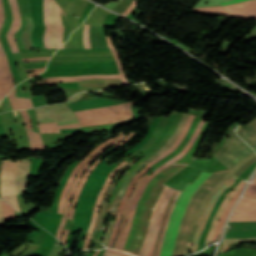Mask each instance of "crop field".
I'll return each instance as SVG.
<instances>
[{"mask_svg": "<svg viewBox=\"0 0 256 256\" xmlns=\"http://www.w3.org/2000/svg\"><path fill=\"white\" fill-rule=\"evenodd\" d=\"M186 165H171L147 185L136 210L133 227L125 243L127 253L153 256L157 233L175 189L163 184Z\"/></svg>", "mask_w": 256, "mask_h": 256, "instance_id": "1", "label": "crop field"}, {"mask_svg": "<svg viewBox=\"0 0 256 256\" xmlns=\"http://www.w3.org/2000/svg\"><path fill=\"white\" fill-rule=\"evenodd\" d=\"M211 174L212 173H206V172L202 171L201 174L196 178V180L192 184L188 183V185L182 191L181 195L179 196V198L175 204L174 210L172 212V215H171L168 227H167V231H166V235L164 238L160 256H171L185 207L188 204V202H189L192 194L195 192V190Z\"/></svg>", "mask_w": 256, "mask_h": 256, "instance_id": "2", "label": "crop field"}, {"mask_svg": "<svg viewBox=\"0 0 256 256\" xmlns=\"http://www.w3.org/2000/svg\"><path fill=\"white\" fill-rule=\"evenodd\" d=\"M134 102L118 104L103 108L75 112L81 126L118 122L116 119L133 116L130 105ZM132 118V117H131ZM130 119V118H127ZM124 119V120H127ZM122 120V121H124Z\"/></svg>", "mask_w": 256, "mask_h": 256, "instance_id": "3", "label": "crop field"}, {"mask_svg": "<svg viewBox=\"0 0 256 256\" xmlns=\"http://www.w3.org/2000/svg\"><path fill=\"white\" fill-rule=\"evenodd\" d=\"M252 151L253 150L232 131L226 144L214 156L231 170L237 161L249 156Z\"/></svg>", "mask_w": 256, "mask_h": 256, "instance_id": "4", "label": "crop field"}, {"mask_svg": "<svg viewBox=\"0 0 256 256\" xmlns=\"http://www.w3.org/2000/svg\"><path fill=\"white\" fill-rule=\"evenodd\" d=\"M19 161L20 160H16L15 163L10 160L2 161L3 167L0 177L1 197L13 205L18 211H20V209L16 199L15 177Z\"/></svg>", "mask_w": 256, "mask_h": 256, "instance_id": "5", "label": "crop field"}, {"mask_svg": "<svg viewBox=\"0 0 256 256\" xmlns=\"http://www.w3.org/2000/svg\"><path fill=\"white\" fill-rule=\"evenodd\" d=\"M204 122L203 120L201 122H199L198 126H197V129L193 135V137L191 138V140L188 142V144L184 147V149L177 155L175 156L174 158H172L171 160L167 161L166 163H170V164H173L174 162H176L178 159H180L183 155L186 154V152L189 150V148L191 147V145L193 144V142L195 141V139L197 138L202 126H203ZM166 163H164L163 165H161L160 167H158V169L156 171L153 172V174H151L148 178H146L144 180V182L142 183L132 205H131V209H130V213H129V217H128V220H127V226H126V230H125V233L121 239V243H120V246H119V250L122 251V248H123V245L125 243V240L128 236V231L130 229V226H131V223H132V220H133V217H134V214H135V210H136V206H137V200L140 199L141 197V194L145 188V186L147 185V183L155 177V175L160 172L161 170H163L164 168L168 167L169 165H166ZM130 232V231H129Z\"/></svg>", "mask_w": 256, "mask_h": 256, "instance_id": "6", "label": "crop field"}, {"mask_svg": "<svg viewBox=\"0 0 256 256\" xmlns=\"http://www.w3.org/2000/svg\"><path fill=\"white\" fill-rule=\"evenodd\" d=\"M39 123L57 122L58 125L78 123L74 113L63 104H54L35 109Z\"/></svg>", "mask_w": 256, "mask_h": 256, "instance_id": "7", "label": "crop field"}, {"mask_svg": "<svg viewBox=\"0 0 256 256\" xmlns=\"http://www.w3.org/2000/svg\"><path fill=\"white\" fill-rule=\"evenodd\" d=\"M193 119H194V116L190 115V117H189V119H188V121H187V123H186V125H185V127H184V129H183V131H182V133H181V135L179 136V138L176 140V142L174 143V145H173L169 150H167L163 155H161L160 157H158L156 160H154V161H152L151 163H149L144 169H142V170H141L138 174H136V176L133 178V180L131 181V183H130V185H129V187H128L126 193H125V195L123 196V198H122V200H121V202H120V206H119V209H118V212H117V216H116V222H115L114 228H113V230H112L111 236H110V238H109V244H108L107 247H110V248H111V246H112V243H113V241H114L115 235H116V233H117V231H118V228H119V224H120V222H121V214H122V210H123V207H124V203L126 202L128 196H129V194H130V192H131V189H132V187L134 186V184H135L137 178H138L140 175L144 174V173L147 171V169H148L153 163H155V162L161 160L162 158H164L166 155H168L169 153H171V152L181 143V141H182V139L185 137V135H186V133H187V131H188V128H189L191 122L193 121Z\"/></svg>", "mask_w": 256, "mask_h": 256, "instance_id": "8", "label": "crop field"}, {"mask_svg": "<svg viewBox=\"0 0 256 256\" xmlns=\"http://www.w3.org/2000/svg\"><path fill=\"white\" fill-rule=\"evenodd\" d=\"M183 113H178V115L176 116L167 136L163 139V141L161 142V144L156 147L151 153H149L148 155H146L145 157L141 158L140 160L136 161L135 163L132 164V166L130 167V169L124 174L125 177L120 179L119 182H118V185L117 187L114 189L109 201H108V204L106 206V210H105V216L110 214V211H111V208H112V204H113V200L116 196V194L118 193L119 189L121 188L125 178L134 170V168L140 164L141 162H143L144 160L150 158L153 154L157 153L160 149H162L168 142V140L171 138L172 134H174L175 130H176V127L182 117ZM105 216H104V219H105ZM103 223H104V220H103ZM103 223H102V228L100 230V234H99V237H98V241L101 242L102 240V237H103V233H104V226H103Z\"/></svg>", "mask_w": 256, "mask_h": 256, "instance_id": "9", "label": "crop field"}, {"mask_svg": "<svg viewBox=\"0 0 256 256\" xmlns=\"http://www.w3.org/2000/svg\"><path fill=\"white\" fill-rule=\"evenodd\" d=\"M106 39H107L108 46H109L110 50L113 52L114 57L116 59V63H117L120 75H89V76H76V77H52V78H44L39 81H31V83L37 82L36 84H31V86L47 84V83H51V82L80 81V80L88 79V78H111V79L122 78L124 84L129 85L130 82L128 81V79L125 76L123 65L120 60V56H119L111 38L106 37Z\"/></svg>", "mask_w": 256, "mask_h": 256, "instance_id": "10", "label": "crop field"}, {"mask_svg": "<svg viewBox=\"0 0 256 256\" xmlns=\"http://www.w3.org/2000/svg\"><path fill=\"white\" fill-rule=\"evenodd\" d=\"M190 114L188 113H184L182 119H181V122L175 132V134L172 136V138L170 139L169 143L167 144V146L165 148H163L162 150H160L156 155H154L153 157H151L150 159H148L147 161H145L144 163L140 164L125 180L122 188H121V191L120 193L117 195L115 201H114V204H113V208H112V212H111V217L115 216L116 215V211L118 209V204L125 192V189L129 183V181L131 180V178L137 173L139 172L147 163L151 162L152 160H154L155 158H157L159 155L163 154L167 149H169L173 143L175 142V140L177 139V137L179 136L188 116Z\"/></svg>", "mask_w": 256, "mask_h": 256, "instance_id": "11", "label": "crop field"}, {"mask_svg": "<svg viewBox=\"0 0 256 256\" xmlns=\"http://www.w3.org/2000/svg\"><path fill=\"white\" fill-rule=\"evenodd\" d=\"M4 21V8L0 0V29ZM14 87L12 75L8 68L6 55L0 44V100Z\"/></svg>", "mask_w": 256, "mask_h": 256, "instance_id": "12", "label": "crop field"}, {"mask_svg": "<svg viewBox=\"0 0 256 256\" xmlns=\"http://www.w3.org/2000/svg\"><path fill=\"white\" fill-rule=\"evenodd\" d=\"M230 221H256V199L242 197Z\"/></svg>", "mask_w": 256, "mask_h": 256, "instance_id": "13", "label": "crop field"}, {"mask_svg": "<svg viewBox=\"0 0 256 256\" xmlns=\"http://www.w3.org/2000/svg\"><path fill=\"white\" fill-rule=\"evenodd\" d=\"M227 11L237 17L256 20V0L224 6Z\"/></svg>", "mask_w": 256, "mask_h": 256, "instance_id": "14", "label": "crop field"}, {"mask_svg": "<svg viewBox=\"0 0 256 256\" xmlns=\"http://www.w3.org/2000/svg\"><path fill=\"white\" fill-rule=\"evenodd\" d=\"M124 132H125V130L122 131V132L120 133V135H121L122 133H124ZM120 135H119L118 137H120ZM118 137H115V138H113V139H110V140L106 141L105 143H103L102 145H100V146H99L98 148H96L92 153H90L79 165L76 166V168H75L73 174L71 173L72 175H71L70 179L68 180V182H67V184H66V186H65V188H64V190H63V192H62V194H61L60 202H59V207H58V211H57V212L62 213L63 206H64V202H65V197H66V195H67V192H68L69 188H70L71 185H72L73 179H74V177H75L77 171H78L94 154H96L99 150H101L103 147H105L107 144H109L110 142L114 141V140L117 139Z\"/></svg>", "mask_w": 256, "mask_h": 256, "instance_id": "15", "label": "crop field"}, {"mask_svg": "<svg viewBox=\"0 0 256 256\" xmlns=\"http://www.w3.org/2000/svg\"><path fill=\"white\" fill-rule=\"evenodd\" d=\"M236 178H238V177H236V176L233 175V176L228 180V182H227L221 189H219V190L212 196V198L210 199V201H209V203H208V206H207V208H206V210H205V212H204V214H203V216H202V218H201V220H200L199 227H198L197 233H196L195 238H194V241H193V247H192V249H191V252H194L195 249H196V245H197V243H198L199 236H200L201 231H202V229H203L204 222H205V220H206V218H207V216H208V214H209L211 208L213 207L215 201L218 199V197H219V195L221 194V192H222L228 185H230ZM191 252H190V253H191Z\"/></svg>", "mask_w": 256, "mask_h": 256, "instance_id": "16", "label": "crop field"}, {"mask_svg": "<svg viewBox=\"0 0 256 256\" xmlns=\"http://www.w3.org/2000/svg\"><path fill=\"white\" fill-rule=\"evenodd\" d=\"M125 137H126V136L123 135V136H121L119 139L115 140L114 142H112L111 144H109L108 146H106L105 148H103V149H102L100 152H98L94 157H92V158L84 165V167L80 170V172H79L78 176L76 177V179H75V181H74V183H73V186H72V188H71V190H70V192H69V195H68V197H67L66 205H65V209H64L63 215H65V216L68 215V211H69V207H70L71 198H72V196H73V193H74V191H75V189H76V187H77V185H78V183H79V181H80V179H81V177H82V175H83L85 169H86L91 163H93L101 153H103V152H104L106 149H108L109 147H111V146L117 144L119 141H121V140H122L123 138H125Z\"/></svg>", "mask_w": 256, "mask_h": 256, "instance_id": "17", "label": "crop field"}, {"mask_svg": "<svg viewBox=\"0 0 256 256\" xmlns=\"http://www.w3.org/2000/svg\"><path fill=\"white\" fill-rule=\"evenodd\" d=\"M10 4L12 7V12H13V24L9 30V32L7 33V38H8V42L12 48L13 52L19 51L17 48V45L15 43L13 34L19 29L20 24H21V20H20V14H19V10H18V6H17V2L16 0H10Z\"/></svg>", "mask_w": 256, "mask_h": 256, "instance_id": "18", "label": "crop field"}, {"mask_svg": "<svg viewBox=\"0 0 256 256\" xmlns=\"http://www.w3.org/2000/svg\"><path fill=\"white\" fill-rule=\"evenodd\" d=\"M134 134H135L134 132H131V133L129 134V136H128L126 139H124V140H123L122 142H120L118 145H116V146L110 148L105 154H107V153H108L109 151H111L113 148H116V147L122 145L123 143H125L126 141H128L130 138H132V137L134 136ZM105 154H104V155H105ZM104 155H102V156H104ZM102 156H101V157H102ZM101 157H100V158L84 173V175H83V178H82V180H81V182H80V184H79V186H78V188H77V190H76V193H75L74 198H73L72 203H71V207H70V211H69V215H68V218H70L71 220L73 219V215H74V211H75V210L73 209V207H74V205H76V203H77V199H78L80 190H81V188L84 186V183H85V180H86L88 174L90 173V171H91L93 168H95V167L97 166V164L99 163Z\"/></svg>", "mask_w": 256, "mask_h": 256, "instance_id": "19", "label": "crop field"}, {"mask_svg": "<svg viewBox=\"0 0 256 256\" xmlns=\"http://www.w3.org/2000/svg\"><path fill=\"white\" fill-rule=\"evenodd\" d=\"M237 134L240 135L251 147L256 146V118L247 125H239Z\"/></svg>", "mask_w": 256, "mask_h": 256, "instance_id": "20", "label": "crop field"}, {"mask_svg": "<svg viewBox=\"0 0 256 256\" xmlns=\"http://www.w3.org/2000/svg\"><path fill=\"white\" fill-rule=\"evenodd\" d=\"M245 181H241L229 194L228 196L225 198V200L222 202V204L220 205L215 217H214V220L211 224V227H210V230H209V234H208V237H207V240L205 242V244H207L208 242L212 241V238H213V234H214V231H215V228H216V225H217V222L225 208V206L227 205V203L229 202V200L231 199V197L244 185ZM204 244V245H205Z\"/></svg>", "mask_w": 256, "mask_h": 256, "instance_id": "21", "label": "crop field"}, {"mask_svg": "<svg viewBox=\"0 0 256 256\" xmlns=\"http://www.w3.org/2000/svg\"><path fill=\"white\" fill-rule=\"evenodd\" d=\"M180 193H181V191L177 190V192L174 194V196H173V198L170 202L169 208H168V210L165 214L164 221H163L161 230L159 232V238L157 240V245H156V249H155V256H159V254H160L161 244H162V240H163L164 235H165V231H166V227H167V224H168V221H169V218H170V214H171V211L174 207L175 201L178 198Z\"/></svg>", "mask_w": 256, "mask_h": 256, "instance_id": "22", "label": "crop field"}, {"mask_svg": "<svg viewBox=\"0 0 256 256\" xmlns=\"http://www.w3.org/2000/svg\"><path fill=\"white\" fill-rule=\"evenodd\" d=\"M125 164H126V162L123 161L119 166H117V167L110 173L109 177L107 176L108 179H107V181H106V183H105V185H104V187H103V189H102V191H101V193H100V195H99V197H98V199H97V202H96V205H95L94 214H93V218H92V221H91V224H90L88 233H90V234L92 233V229H93L94 224H95V222H96V220H97V216H98V212H99V208H100V204H101L102 198H103L104 193H105V191L107 190V188H108V186H109V184H110V182H111L113 176H114V175L116 174V172H117L122 166H124Z\"/></svg>", "mask_w": 256, "mask_h": 256, "instance_id": "23", "label": "crop field"}, {"mask_svg": "<svg viewBox=\"0 0 256 256\" xmlns=\"http://www.w3.org/2000/svg\"><path fill=\"white\" fill-rule=\"evenodd\" d=\"M29 164H30L29 158H27V160H21L20 162V167H19L17 181H16L18 194L25 191L26 177L29 173Z\"/></svg>", "mask_w": 256, "mask_h": 256, "instance_id": "24", "label": "crop field"}, {"mask_svg": "<svg viewBox=\"0 0 256 256\" xmlns=\"http://www.w3.org/2000/svg\"><path fill=\"white\" fill-rule=\"evenodd\" d=\"M210 124H211V123H208V122L205 123V125H204V127H203V129H202L200 135L198 136L196 142L192 145V147H191L190 150L187 152V154H186L183 158H181L180 160H178L176 163H185V164H189L191 161L194 160V158H192L191 156L194 154V152H195L196 148L198 147V145H199V143H200V141H201V139H202V137H203L205 131L207 130V128L209 127Z\"/></svg>", "mask_w": 256, "mask_h": 256, "instance_id": "25", "label": "crop field"}, {"mask_svg": "<svg viewBox=\"0 0 256 256\" xmlns=\"http://www.w3.org/2000/svg\"><path fill=\"white\" fill-rule=\"evenodd\" d=\"M44 16H45V33H44V46L49 47V38H50V31L51 26L49 24V0H44Z\"/></svg>", "mask_w": 256, "mask_h": 256, "instance_id": "26", "label": "crop field"}, {"mask_svg": "<svg viewBox=\"0 0 256 256\" xmlns=\"http://www.w3.org/2000/svg\"><path fill=\"white\" fill-rule=\"evenodd\" d=\"M39 127H40L41 133H60L58 129L80 127V125L75 124V125H67V126H57L56 123H48V124H39Z\"/></svg>", "mask_w": 256, "mask_h": 256, "instance_id": "27", "label": "crop field"}, {"mask_svg": "<svg viewBox=\"0 0 256 256\" xmlns=\"http://www.w3.org/2000/svg\"><path fill=\"white\" fill-rule=\"evenodd\" d=\"M243 187H244V186H243ZM243 187H242V188H243ZM242 188L240 189V191H239L235 196L232 197V199H231L229 205L226 207V209H225V211H224L222 217L220 218V220H219V222H218V225H217V228H216V231H215V235H214V239H213V240H215V239L217 238V236H218V234H219V232H220V230H221V228H222V226H223V224H224V222H225V220H226V218H227V215H228L229 211L231 210V208H232V206H233L235 200L237 199L239 193L241 192Z\"/></svg>", "mask_w": 256, "mask_h": 256, "instance_id": "28", "label": "crop field"}, {"mask_svg": "<svg viewBox=\"0 0 256 256\" xmlns=\"http://www.w3.org/2000/svg\"><path fill=\"white\" fill-rule=\"evenodd\" d=\"M55 10H56V3L50 0V24L52 26V34H51V48H56L55 42V34H56V26H55Z\"/></svg>", "mask_w": 256, "mask_h": 256, "instance_id": "29", "label": "crop field"}, {"mask_svg": "<svg viewBox=\"0 0 256 256\" xmlns=\"http://www.w3.org/2000/svg\"><path fill=\"white\" fill-rule=\"evenodd\" d=\"M194 12L200 14H207V15H226L228 17H232L224 8L222 7H213V8H200V9H193Z\"/></svg>", "mask_w": 256, "mask_h": 256, "instance_id": "30", "label": "crop field"}, {"mask_svg": "<svg viewBox=\"0 0 256 256\" xmlns=\"http://www.w3.org/2000/svg\"><path fill=\"white\" fill-rule=\"evenodd\" d=\"M56 25H57V48H58L62 44V36H63V30H64V26L60 18V7L58 5L56 10Z\"/></svg>", "mask_w": 256, "mask_h": 256, "instance_id": "31", "label": "crop field"}, {"mask_svg": "<svg viewBox=\"0 0 256 256\" xmlns=\"http://www.w3.org/2000/svg\"><path fill=\"white\" fill-rule=\"evenodd\" d=\"M2 208H3L5 220L15 216L14 209L3 200H2Z\"/></svg>", "mask_w": 256, "mask_h": 256, "instance_id": "32", "label": "crop field"}, {"mask_svg": "<svg viewBox=\"0 0 256 256\" xmlns=\"http://www.w3.org/2000/svg\"><path fill=\"white\" fill-rule=\"evenodd\" d=\"M104 256H132L127 253H123L117 250H112V249H106V251L103 253Z\"/></svg>", "mask_w": 256, "mask_h": 256, "instance_id": "33", "label": "crop field"}, {"mask_svg": "<svg viewBox=\"0 0 256 256\" xmlns=\"http://www.w3.org/2000/svg\"><path fill=\"white\" fill-rule=\"evenodd\" d=\"M243 195L253 197L256 196V178L254 179V184H250V186Z\"/></svg>", "mask_w": 256, "mask_h": 256, "instance_id": "34", "label": "crop field"}, {"mask_svg": "<svg viewBox=\"0 0 256 256\" xmlns=\"http://www.w3.org/2000/svg\"><path fill=\"white\" fill-rule=\"evenodd\" d=\"M27 130V129H26ZM28 136H29V140H30V144H31V149L35 150L38 149L37 148V144H36V140H35V136L34 133L32 131L27 130Z\"/></svg>", "mask_w": 256, "mask_h": 256, "instance_id": "35", "label": "crop field"}, {"mask_svg": "<svg viewBox=\"0 0 256 256\" xmlns=\"http://www.w3.org/2000/svg\"><path fill=\"white\" fill-rule=\"evenodd\" d=\"M9 97V100H10V103H11V106L13 109H18L17 107V102H16V95H15V88L12 90V92L8 95Z\"/></svg>", "mask_w": 256, "mask_h": 256, "instance_id": "36", "label": "crop field"}, {"mask_svg": "<svg viewBox=\"0 0 256 256\" xmlns=\"http://www.w3.org/2000/svg\"><path fill=\"white\" fill-rule=\"evenodd\" d=\"M20 112H21V114H22V116H23V118H24V122L26 123L25 128L32 130L31 121H30V118H29V116H28L27 111H26V110H23V111H20Z\"/></svg>", "mask_w": 256, "mask_h": 256, "instance_id": "37", "label": "crop field"}, {"mask_svg": "<svg viewBox=\"0 0 256 256\" xmlns=\"http://www.w3.org/2000/svg\"><path fill=\"white\" fill-rule=\"evenodd\" d=\"M256 161V157H254L253 159L249 160L248 162H246L236 173L235 175L239 176L244 170H246L248 168V166Z\"/></svg>", "mask_w": 256, "mask_h": 256, "instance_id": "38", "label": "crop field"}, {"mask_svg": "<svg viewBox=\"0 0 256 256\" xmlns=\"http://www.w3.org/2000/svg\"><path fill=\"white\" fill-rule=\"evenodd\" d=\"M92 182H89L87 181L84 188L82 189L81 193H80V197H79V201L78 203H82L83 202V198H84V195L86 193V191L88 190V188L90 187Z\"/></svg>", "mask_w": 256, "mask_h": 256, "instance_id": "39", "label": "crop field"}, {"mask_svg": "<svg viewBox=\"0 0 256 256\" xmlns=\"http://www.w3.org/2000/svg\"><path fill=\"white\" fill-rule=\"evenodd\" d=\"M113 223H114V221H111V222L109 223V225H108V228H107V231H106L104 240H103V245H105V246H107V241H108V238H109V236H110V232H111Z\"/></svg>", "mask_w": 256, "mask_h": 256, "instance_id": "40", "label": "crop field"}, {"mask_svg": "<svg viewBox=\"0 0 256 256\" xmlns=\"http://www.w3.org/2000/svg\"><path fill=\"white\" fill-rule=\"evenodd\" d=\"M67 218L65 217H62L61 219V222H60V225H59V228H58V232H57V236L56 238L60 240L61 238V234H62V231H63V226H64V223L66 221Z\"/></svg>", "mask_w": 256, "mask_h": 256, "instance_id": "41", "label": "crop field"}, {"mask_svg": "<svg viewBox=\"0 0 256 256\" xmlns=\"http://www.w3.org/2000/svg\"><path fill=\"white\" fill-rule=\"evenodd\" d=\"M84 93H86V92L78 93V94L75 95L73 98H71L70 101L65 102V104H67V105L71 104L72 102H74V101H76L78 98H80Z\"/></svg>", "mask_w": 256, "mask_h": 256, "instance_id": "42", "label": "crop field"}, {"mask_svg": "<svg viewBox=\"0 0 256 256\" xmlns=\"http://www.w3.org/2000/svg\"><path fill=\"white\" fill-rule=\"evenodd\" d=\"M137 3V0H134L133 3L127 8V10L123 13V15L127 16V14L134 9L135 5ZM129 15V14H128Z\"/></svg>", "mask_w": 256, "mask_h": 256, "instance_id": "43", "label": "crop field"}, {"mask_svg": "<svg viewBox=\"0 0 256 256\" xmlns=\"http://www.w3.org/2000/svg\"><path fill=\"white\" fill-rule=\"evenodd\" d=\"M36 133V132H35ZM36 136H37V140H38V144H39V146H40V148H41V151L42 150H44V146H43V142H42V140H41V136H40V134H38V133H36ZM38 146V147H39ZM40 148H39V151H40Z\"/></svg>", "mask_w": 256, "mask_h": 256, "instance_id": "44", "label": "crop field"}, {"mask_svg": "<svg viewBox=\"0 0 256 256\" xmlns=\"http://www.w3.org/2000/svg\"><path fill=\"white\" fill-rule=\"evenodd\" d=\"M17 102H18L19 109L26 108L23 98H17Z\"/></svg>", "mask_w": 256, "mask_h": 256, "instance_id": "45", "label": "crop field"}, {"mask_svg": "<svg viewBox=\"0 0 256 256\" xmlns=\"http://www.w3.org/2000/svg\"><path fill=\"white\" fill-rule=\"evenodd\" d=\"M119 1L120 0H118L116 3L109 1L108 4L105 7L112 10L119 3Z\"/></svg>", "mask_w": 256, "mask_h": 256, "instance_id": "46", "label": "crop field"}, {"mask_svg": "<svg viewBox=\"0 0 256 256\" xmlns=\"http://www.w3.org/2000/svg\"><path fill=\"white\" fill-rule=\"evenodd\" d=\"M69 230H64L63 232V236H62V240L61 242L64 243L66 245V241H67V234H68Z\"/></svg>", "mask_w": 256, "mask_h": 256, "instance_id": "47", "label": "crop field"}, {"mask_svg": "<svg viewBox=\"0 0 256 256\" xmlns=\"http://www.w3.org/2000/svg\"><path fill=\"white\" fill-rule=\"evenodd\" d=\"M90 237L91 236L87 234L86 239H85L84 249H89Z\"/></svg>", "mask_w": 256, "mask_h": 256, "instance_id": "48", "label": "crop field"}, {"mask_svg": "<svg viewBox=\"0 0 256 256\" xmlns=\"http://www.w3.org/2000/svg\"><path fill=\"white\" fill-rule=\"evenodd\" d=\"M25 99V103H26V107L27 108H32V102H31V99H27V98H24Z\"/></svg>", "mask_w": 256, "mask_h": 256, "instance_id": "49", "label": "crop field"}, {"mask_svg": "<svg viewBox=\"0 0 256 256\" xmlns=\"http://www.w3.org/2000/svg\"><path fill=\"white\" fill-rule=\"evenodd\" d=\"M0 224H4V218H3L2 208H1V202H0Z\"/></svg>", "mask_w": 256, "mask_h": 256, "instance_id": "50", "label": "crop field"}, {"mask_svg": "<svg viewBox=\"0 0 256 256\" xmlns=\"http://www.w3.org/2000/svg\"><path fill=\"white\" fill-rule=\"evenodd\" d=\"M241 1H245V0H235V1H232V2H226V3H221V4H222V5L234 4V3L241 2Z\"/></svg>", "mask_w": 256, "mask_h": 256, "instance_id": "51", "label": "crop field"}, {"mask_svg": "<svg viewBox=\"0 0 256 256\" xmlns=\"http://www.w3.org/2000/svg\"><path fill=\"white\" fill-rule=\"evenodd\" d=\"M50 57H43V58H28V59H22V60H34V59H49Z\"/></svg>", "mask_w": 256, "mask_h": 256, "instance_id": "52", "label": "crop field"}, {"mask_svg": "<svg viewBox=\"0 0 256 256\" xmlns=\"http://www.w3.org/2000/svg\"><path fill=\"white\" fill-rule=\"evenodd\" d=\"M100 250H97L93 256H96L99 253Z\"/></svg>", "mask_w": 256, "mask_h": 256, "instance_id": "53", "label": "crop field"}, {"mask_svg": "<svg viewBox=\"0 0 256 256\" xmlns=\"http://www.w3.org/2000/svg\"><path fill=\"white\" fill-rule=\"evenodd\" d=\"M55 244L59 245V242L56 240V241H55Z\"/></svg>", "mask_w": 256, "mask_h": 256, "instance_id": "54", "label": "crop field"}]
</instances>
